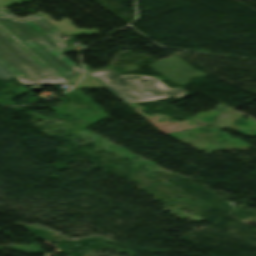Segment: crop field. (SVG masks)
<instances>
[{"label":"crop field","mask_w":256,"mask_h":256,"mask_svg":"<svg viewBox=\"0 0 256 256\" xmlns=\"http://www.w3.org/2000/svg\"><path fill=\"white\" fill-rule=\"evenodd\" d=\"M0 64L23 84L67 83L1 24Z\"/></svg>","instance_id":"ac0d7876"},{"label":"crop field","mask_w":256,"mask_h":256,"mask_svg":"<svg viewBox=\"0 0 256 256\" xmlns=\"http://www.w3.org/2000/svg\"><path fill=\"white\" fill-rule=\"evenodd\" d=\"M41 16H43L45 19H47L51 24H53L55 27H57L62 32L66 33L67 35L72 34L76 28L71 24L70 20L66 18H61L62 21L60 22H54L50 19V17L46 16L45 14L39 12ZM67 23V25H63V23Z\"/></svg>","instance_id":"412701ff"},{"label":"crop field","mask_w":256,"mask_h":256,"mask_svg":"<svg viewBox=\"0 0 256 256\" xmlns=\"http://www.w3.org/2000/svg\"><path fill=\"white\" fill-rule=\"evenodd\" d=\"M83 87H96V88H103L100 86L95 80H93L90 76L85 75L83 80L77 85L76 88L80 89Z\"/></svg>","instance_id":"f4fd0767"},{"label":"crop field","mask_w":256,"mask_h":256,"mask_svg":"<svg viewBox=\"0 0 256 256\" xmlns=\"http://www.w3.org/2000/svg\"><path fill=\"white\" fill-rule=\"evenodd\" d=\"M98 32H99V31H98V30H95V29H91V30L77 29V30L74 32V35L85 34V35L89 36V35H92V34H95V33H98Z\"/></svg>","instance_id":"e52e79f7"},{"label":"crop field","mask_w":256,"mask_h":256,"mask_svg":"<svg viewBox=\"0 0 256 256\" xmlns=\"http://www.w3.org/2000/svg\"><path fill=\"white\" fill-rule=\"evenodd\" d=\"M80 76V75H79ZM79 76L69 80L68 82H70L72 85H74V83L76 82V80L79 78Z\"/></svg>","instance_id":"5a996713"},{"label":"crop field","mask_w":256,"mask_h":256,"mask_svg":"<svg viewBox=\"0 0 256 256\" xmlns=\"http://www.w3.org/2000/svg\"><path fill=\"white\" fill-rule=\"evenodd\" d=\"M88 74L110 89L126 103L132 101L127 96L141 92L148 96L168 98L180 97L186 94L182 88H166L157 78L153 77L117 75L110 69Z\"/></svg>","instance_id":"34b2d1b8"},{"label":"crop field","mask_w":256,"mask_h":256,"mask_svg":"<svg viewBox=\"0 0 256 256\" xmlns=\"http://www.w3.org/2000/svg\"><path fill=\"white\" fill-rule=\"evenodd\" d=\"M12 77L13 76L4 67L0 65V79H8Z\"/></svg>","instance_id":"d8731c3e"},{"label":"crop field","mask_w":256,"mask_h":256,"mask_svg":"<svg viewBox=\"0 0 256 256\" xmlns=\"http://www.w3.org/2000/svg\"><path fill=\"white\" fill-rule=\"evenodd\" d=\"M20 3V0H0V8ZM0 23L64 78L82 73L79 67L62 55L73 50L55 36L61 32L42 17L35 15L17 19L7 10H0Z\"/></svg>","instance_id":"8a807250"},{"label":"crop field","mask_w":256,"mask_h":256,"mask_svg":"<svg viewBox=\"0 0 256 256\" xmlns=\"http://www.w3.org/2000/svg\"><path fill=\"white\" fill-rule=\"evenodd\" d=\"M133 101L132 102H138V101H146V100H155V99H163V98H157V97H148L145 94H137L133 96H129Z\"/></svg>","instance_id":"dd49c442"}]
</instances>
